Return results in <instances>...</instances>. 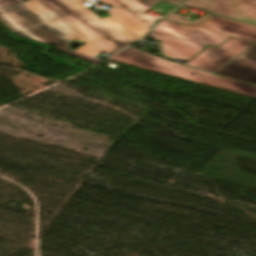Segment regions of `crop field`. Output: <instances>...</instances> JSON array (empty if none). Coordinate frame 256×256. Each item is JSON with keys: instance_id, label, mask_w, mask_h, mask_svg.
I'll use <instances>...</instances> for the list:
<instances>
[{"instance_id": "obj_1", "label": "crop field", "mask_w": 256, "mask_h": 256, "mask_svg": "<svg viewBox=\"0 0 256 256\" xmlns=\"http://www.w3.org/2000/svg\"><path fill=\"white\" fill-rule=\"evenodd\" d=\"M80 1L0 0V22L19 37L56 46L54 49L92 65L100 61L93 56L111 55L137 41L112 18L100 19ZM71 40L88 44L70 51Z\"/></svg>"}, {"instance_id": "obj_2", "label": "crop field", "mask_w": 256, "mask_h": 256, "mask_svg": "<svg viewBox=\"0 0 256 256\" xmlns=\"http://www.w3.org/2000/svg\"><path fill=\"white\" fill-rule=\"evenodd\" d=\"M109 60L256 98V86L187 68L173 62L153 57L133 47L120 52Z\"/></svg>"}, {"instance_id": "obj_3", "label": "crop field", "mask_w": 256, "mask_h": 256, "mask_svg": "<svg viewBox=\"0 0 256 256\" xmlns=\"http://www.w3.org/2000/svg\"><path fill=\"white\" fill-rule=\"evenodd\" d=\"M253 44L254 42L231 37L217 49L209 47L187 65L215 73Z\"/></svg>"}, {"instance_id": "obj_4", "label": "crop field", "mask_w": 256, "mask_h": 256, "mask_svg": "<svg viewBox=\"0 0 256 256\" xmlns=\"http://www.w3.org/2000/svg\"><path fill=\"white\" fill-rule=\"evenodd\" d=\"M182 6L256 24V0H185Z\"/></svg>"}, {"instance_id": "obj_5", "label": "crop field", "mask_w": 256, "mask_h": 256, "mask_svg": "<svg viewBox=\"0 0 256 256\" xmlns=\"http://www.w3.org/2000/svg\"><path fill=\"white\" fill-rule=\"evenodd\" d=\"M153 31L206 45H211L213 47L219 46L230 37L166 20H162L161 23Z\"/></svg>"}, {"instance_id": "obj_6", "label": "crop field", "mask_w": 256, "mask_h": 256, "mask_svg": "<svg viewBox=\"0 0 256 256\" xmlns=\"http://www.w3.org/2000/svg\"><path fill=\"white\" fill-rule=\"evenodd\" d=\"M216 74L256 84V44L228 63Z\"/></svg>"}, {"instance_id": "obj_7", "label": "crop field", "mask_w": 256, "mask_h": 256, "mask_svg": "<svg viewBox=\"0 0 256 256\" xmlns=\"http://www.w3.org/2000/svg\"><path fill=\"white\" fill-rule=\"evenodd\" d=\"M200 28L256 42V26L213 16Z\"/></svg>"}, {"instance_id": "obj_8", "label": "crop field", "mask_w": 256, "mask_h": 256, "mask_svg": "<svg viewBox=\"0 0 256 256\" xmlns=\"http://www.w3.org/2000/svg\"><path fill=\"white\" fill-rule=\"evenodd\" d=\"M154 40L161 41L163 55L175 60L176 58L188 61L199 51H201L205 45L188 42L173 37L159 34Z\"/></svg>"}, {"instance_id": "obj_9", "label": "crop field", "mask_w": 256, "mask_h": 256, "mask_svg": "<svg viewBox=\"0 0 256 256\" xmlns=\"http://www.w3.org/2000/svg\"><path fill=\"white\" fill-rule=\"evenodd\" d=\"M107 13L115 17L139 39L142 38L158 20L157 18L132 13L115 7Z\"/></svg>"}, {"instance_id": "obj_10", "label": "crop field", "mask_w": 256, "mask_h": 256, "mask_svg": "<svg viewBox=\"0 0 256 256\" xmlns=\"http://www.w3.org/2000/svg\"><path fill=\"white\" fill-rule=\"evenodd\" d=\"M107 4L130 9L138 12H145L160 1L178 5L180 0H101Z\"/></svg>"}, {"instance_id": "obj_11", "label": "crop field", "mask_w": 256, "mask_h": 256, "mask_svg": "<svg viewBox=\"0 0 256 256\" xmlns=\"http://www.w3.org/2000/svg\"><path fill=\"white\" fill-rule=\"evenodd\" d=\"M175 7H176L175 5L160 2L157 5H155L154 7H152L150 10H153L157 13L165 14V13L169 12V10H172Z\"/></svg>"}, {"instance_id": "obj_12", "label": "crop field", "mask_w": 256, "mask_h": 256, "mask_svg": "<svg viewBox=\"0 0 256 256\" xmlns=\"http://www.w3.org/2000/svg\"><path fill=\"white\" fill-rule=\"evenodd\" d=\"M180 17H181V15L171 13V14H169V16L165 17V19L170 20V21H175V22L188 24V25L192 23L191 21L182 20Z\"/></svg>"}, {"instance_id": "obj_13", "label": "crop field", "mask_w": 256, "mask_h": 256, "mask_svg": "<svg viewBox=\"0 0 256 256\" xmlns=\"http://www.w3.org/2000/svg\"><path fill=\"white\" fill-rule=\"evenodd\" d=\"M211 16L213 15H210V14H206L204 15L203 17L199 18L198 20H196L195 22H193L192 24L193 25H201L203 22H205L207 19H209Z\"/></svg>"}]
</instances>
